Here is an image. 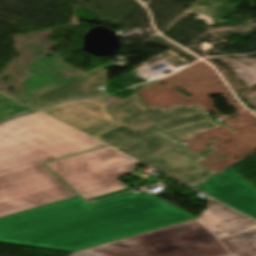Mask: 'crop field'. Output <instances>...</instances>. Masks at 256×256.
<instances>
[{"instance_id": "8a807250", "label": "crop field", "mask_w": 256, "mask_h": 256, "mask_svg": "<svg viewBox=\"0 0 256 256\" xmlns=\"http://www.w3.org/2000/svg\"><path fill=\"white\" fill-rule=\"evenodd\" d=\"M194 217L145 192L72 198L0 218V241L73 252Z\"/></svg>"}, {"instance_id": "ac0d7876", "label": "crop field", "mask_w": 256, "mask_h": 256, "mask_svg": "<svg viewBox=\"0 0 256 256\" xmlns=\"http://www.w3.org/2000/svg\"><path fill=\"white\" fill-rule=\"evenodd\" d=\"M140 100L132 95L108 107L119 126L94 138L190 186L215 173L197 164L205 158L160 134L208 118L206 110L199 105L146 109Z\"/></svg>"}, {"instance_id": "34b2d1b8", "label": "crop field", "mask_w": 256, "mask_h": 256, "mask_svg": "<svg viewBox=\"0 0 256 256\" xmlns=\"http://www.w3.org/2000/svg\"><path fill=\"white\" fill-rule=\"evenodd\" d=\"M193 220L70 256H256V221L214 201Z\"/></svg>"}, {"instance_id": "412701ff", "label": "crop field", "mask_w": 256, "mask_h": 256, "mask_svg": "<svg viewBox=\"0 0 256 256\" xmlns=\"http://www.w3.org/2000/svg\"><path fill=\"white\" fill-rule=\"evenodd\" d=\"M105 146L43 114L0 125V175Z\"/></svg>"}, {"instance_id": "f4fd0767", "label": "crop field", "mask_w": 256, "mask_h": 256, "mask_svg": "<svg viewBox=\"0 0 256 256\" xmlns=\"http://www.w3.org/2000/svg\"><path fill=\"white\" fill-rule=\"evenodd\" d=\"M137 161L109 148H102L45 164L85 200L128 188L116 179L131 173Z\"/></svg>"}, {"instance_id": "dd49c442", "label": "crop field", "mask_w": 256, "mask_h": 256, "mask_svg": "<svg viewBox=\"0 0 256 256\" xmlns=\"http://www.w3.org/2000/svg\"><path fill=\"white\" fill-rule=\"evenodd\" d=\"M77 196L43 165L0 176V217Z\"/></svg>"}, {"instance_id": "e52e79f7", "label": "crop field", "mask_w": 256, "mask_h": 256, "mask_svg": "<svg viewBox=\"0 0 256 256\" xmlns=\"http://www.w3.org/2000/svg\"><path fill=\"white\" fill-rule=\"evenodd\" d=\"M105 99L101 97L63 102L42 112L92 136L116 125L104 108Z\"/></svg>"}, {"instance_id": "d8731c3e", "label": "crop field", "mask_w": 256, "mask_h": 256, "mask_svg": "<svg viewBox=\"0 0 256 256\" xmlns=\"http://www.w3.org/2000/svg\"><path fill=\"white\" fill-rule=\"evenodd\" d=\"M195 189L256 218V188L232 168Z\"/></svg>"}, {"instance_id": "5a996713", "label": "crop field", "mask_w": 256, "mask_h": 256, "mask_svg": "<svg viewBox=\"0 0 256 256\" xmlns=\"http://www.w3.org/2000/svg\"><path fill=\"white\" fill-rule=\"evenodd\" d=\"M101 86H105V67L102 65L26 103L40 110L64 99L105 95V89H98Z\"/></svg>"}, {"instance_id": "3316defc", "label": "crop field", "mask_w": 256, "mask_h": 256, "mask_svg": "<svg viewBox=\"0 0 256 256\" xmlns=\"http://www.w3.org/2000/svg\"><path fill=\"white\" fill-rule=\"evenodd\" d=\"M30 111L34 109L0 92V121Z\"/></svg>"}, {"instance_id": "28ad6ade", "label": "crop field", "mask_w": 256, "mask_h": 256, "mask_svg": "<svg viewBox=\"0 0 256 256\" xmlns=\"http://www.w3.org/2000/svg\"><path fill=\"white\" fill-rule=\"evenodd\" d=\"M216 127L217 126L214 123L207 121V122L199 123L196 125L188 126L185 128L177 129L174 131L166 132L164 134H166L173 140L178 141V140L190 138L192 133H194V132L204 131V130H208V129H212V128H216Z\"/></svg>"}, {"instance_id": "d1516ede", "label": "crop field", "mask_w": 256, "mask_h": 256, "mask_svg": "<svg viewBox=\"0 0 256 256\" xmlns=\"http://www.w3.org/2000/svg\"><path fill=\"white\" fill-rule=\"evenodd\" d=\"M135 188H137V187L124 189V190H121V191L113 192V193L106 194V195L99 196V197H95V198H96V199L104 198V197L112 196V195L119 194V193H122V192H126V191H129V190L135 189Z\"/></svg>"}]
</instances>
